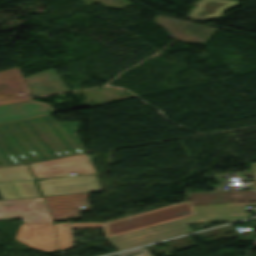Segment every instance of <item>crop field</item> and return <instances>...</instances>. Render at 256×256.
Returning <instances> with one entry per match:
<instances>
[{
    "instance_id": "obj_8",
    "label": "crop field",
    "mask_w": 256,
    "mask_h": 256,
    "mask_svg": "<svg viewBox=\"0 0 256 256\" xmlns=\"http://www.w3.org/2000/svg\"><path fill=\"white\" fill-rule=\"evenodd\" d=\"M18 92H24V95ZM29 94L17 67L0 71V104L27 101Z\"/></svg>"
},
{
    "instance_id": "obj_13",
    "label": "crop field",
    "mask_w": 256,
    "mask_h": 256,
    "mask_svg": "<svg viewBox=\"0 0 256 256\" xmlns=\"http://www.w3.org/2000/svg\"><path fill=\"white\" fill-rule=\"evenodd\" d=\"M3 135V134H2ZM0 133V165H13L24 163L19 155L14 151L10 144Z\"/></svg>"
},
{
    "instance_id": "obj_11",
    "label": "crop field",
    "mask_w": 256,
    "mask_h": 256,
    "mask_svg": "<svg viewBox=\"0 0 256 256\" xmlns=\"http://www.w3.org/2000/svg\"><path fill=\"white\" fill-rule=\"evenodd\" d=\"M188 197L193 205L256 201V193L253 191L198 193L188 194Z\"/></svg>"
},
{
    "instance_id": "obj_2",
    "label": "crop field",
    "mask_w": 256,
    "mask_h": 256,
    "mask_svg": "<svg viewBox=\"0 0 256 256\" xmlns=\"http://www.w3.org/2000/svg\"><path fill=\"white\" fill-rule=\"evenodd\" d=\"M194 215L188 202L163 207L127 218L104 223L106 237H112L153 225Z\"/></svg>"
},
{
    "instance_id": "obj_4",
    "label": "crop field",
    "mask_w": 256,
    "mask_h": 256,
    "mask_svg": "<svg viewBox=\"0 0 256 256\" xmlns=\"http://www.w3.org/2000/svg\"><path fill=\"white\" fill-rule=\"evenodd\" d=\"M23 218L24 222H52L41 197L0 200V219Z\"/></svg>"
},
{
    "instance_id": "obj_10",
    "label": "crop field",
    "mask_w": 256,
    "mask_h": 256,
    "mask_svg": "<svg viewBox=\"0 0 256 256\" xmlns=\"http://www.w3.org/2000/svg\"><path fill=\"white\" fill-rule=\"evenodd\" d=\"M34 95L69 90L52 68L26 77Z\"/></svg>"
},
{
    "instance_id": "obj_1",
    "label": "crop field",
    "mask_w": 256,
    "mask_h": 256,
    "mask_svg": "<svg viewBox=\"0 0 256 256\" xmlns=\"http://www.w3.org/2000/svg\"><path fill=\"white\" fill-rule=\"evenodd\" d=\"M38 160L85 152L78 123L56 124L50 115L10 124Z\"/></svg>"
},
{
    "instance_id": "obj_5",
    "label": "crop field",
    "mask_w": 256,
    "mask_h": 256,
    "mask_svg": "<svg viewBox=\"0 0 256 256\" xmlns=\"http://www.w3.org/2000/svg\"><path fill=\"white\" fill-rule=\"evenodd\" d=\"M154 21L178 40L205 44L217 28L158 14Z\"/></svg>"
},
{
    "instance_id": "obj_15",
    "label": "crop field",
    "mask_w": 256,
    "mask_h": 256,
    "mask_svg": "<svg viewBox=\"0 0 256 256\" xmlns=\"http://www.w3.org/2000/svg\"><path fill=\"white\" fill-rule=\"evenodd\" d=\"M136 252H140L138 254H134L131 256H152L145 247L143 248H139V249H135V250H131V251H127V252H123V253H119V254H115V256H124V255H128V254H132V253H136Z\"/></svg>"
},
{
    "instance_id": "obj_6",
    "label": "crop field",
    "mask_w": 256,
    "mask_h": 256,
    "mask_svg": "<svg viewBox=\"0 0 256 256\" xmlns=\"http://www.w3.org/2000/svg\"><path fill=\"white\" fill-rule=\"evenodd\" d=\"M15 239L42 252L56 250L52 223H23Z\"/></svg>"
},
{
    "instance_id": "obj_3",
    "label": "crop field",
    "mask_w": 256,
    "mask_h": 256,
    "mask_svg": "<svg viewBox=\"0 0 256 256\" xmlns=\"http://www.w3.org/2000/svg\"><path fill=\"white\" fill-rule=\"evenodd\" d=\"M193 232L183 220L108 238L118 251Z\"/></svg>"
},
{
    "instance_id": "obj_16",
    "label": "crop field",
    "mask_w": 256,
    "mask_h": 256,
    "mask_svg": "<svg viewBox=\"0 0 256 256\" xmlns=\"http://www.w3.org/2000/svg\"><path fill=\"white\" fill-rule=\"evenodd\" d=\"M72 229L102 227L100 223H71Z\"/></svg>"
},
{
    "instance_id": "obj_7",
    "label": "crop field",
    "mask_w": 256,
    "mask_h": 256,
    "mask_svg": "<svg viewBox=\"0 0 256 256\" xmlns=\"http://www.w3.org/2000/svg\"><path fill=\"white\" fill-rule=\"evenodd\" d=\"M88 193L43 197L54 220L81 218L80 212L90 211ZM86 206V208H79Z\"/></svg>"
},
{
    "instance_id": "obj_14",
    "label": "crop field",
    "mask_w": 256,
    "mask_h": 256,
    "mask_svg": "<svg viewBox=\"0 0 256 256\" xmlns=\"http://www.w3.org/2000/svg\"><path fill=\"white\" fill-rule=\"evenodd\" d=\"M59 248L71 245L67 223H56Z\"/></svg>"
},
{
    "instance_id": "obj_12",
    "label": "crop field",
    "mask_w": 256,
    "mask_h": 256,
    "mask_svg": "<svg viewBox=\"0 0 256 256\" xmlns=\"http://www.w3.org/2000/svg\"><path fill=\"white\" fill-rule=\"evenodd\" d=\"M0 129L9 138V140L13 143V145L17 148V150L22 154V156L26 159L27 162L36 161L37 160L36 157L32 154V152L27 148V146L19 138V136L10 127L9 124L0 125Z\"/></svg>"
},
{
    "instance_id": "obj_9",
    "label": "crop field",
    "mask_w": 256,
    "mask_h": 256,
    "mask_svg": "<svg viewBox=\"0 0 256 256\" xmlns=\"http://www.w3.org/2000/svg\"><path fill=\"white\" fill-rule=\"evenodd\" d=\"M55 112L50 105L36 101L0 105V124Z\"/></svg>"
}]
</instances>
